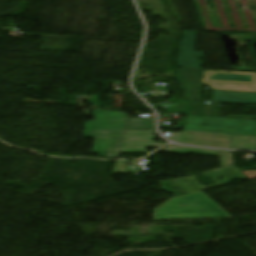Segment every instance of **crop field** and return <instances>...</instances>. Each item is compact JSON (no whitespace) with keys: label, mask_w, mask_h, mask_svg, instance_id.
I'll return each instance as SVG.
<instances>
[{"label":"crop field","mask_w":256,"mask_h":256,"mask_svg":"<svg viewBox=\"0 0 256 256\" xmlns=\"http://www.w3.org/2000/svg\"><path fill=\"white\" fill-rule=\"evenodd\" d=\"M96 121L86 123L85 138L95 137L93 153L119 158L125 129H154V118H128L124 112L93 110Z\"/></svg>","instance_id":"obj_1"},{"label":"crop field","mask_w":256,"mask_h":256,"mask_svg":"<svg viewBox=\"0 0 256 256\" xmlns=\"http://www.w3.org/2000/svg\"><path fill=\"white\" fill-rule=\"evenodd\" d=\"M155 220L232 218L202 191L171 199L155 209Z\"/></svg>","instance_id":"obj_2"},{"label":"crop field","mask_w":256,"mask_h":256,"mask_svg":"<svg viewBox=\"0 0 256 256\" xmlns=\"http://www.w3.org/2000/svg\"><path fill=\"white\" fill-rule=\"evenodd\" d=\"M188 116L183 130L256 136V120ZM209 124L211 127L204 126ZM246 125V126H244Z\"/></svg>","instance_id":"obj_3"},{"label":"crop field","mask_w":256,"mask_h":256,"mask_svg":"<svg viewBox=\"0 0 256 256\" xmlns=\"http://www.w3.org/2000/svg\"><path fill=\"white\" fill-rule=\"evenodd\" d=\"M202 83L213 89L256 92V73L205 71Z\"/></svg>","instance_id":"obj_4"},{"label":"crop field","mask_w":256,"mask_h":256,"mask_svg":"<svg viewBox=\"0 0 256 256\" xmlns=\"http://www.w3.org/2000/svg\"><path fill=\"white\" fill-rule=\"evenodd\" d=\"M171 140L180 144L231 149L233 135L182 131L181 134L172 133Z\"/></svg>","instance_id":"obj_5"},{"label":"crop field","mask_w":256,"mask_h":256,"mask_svg":"<svg viewBox=\"0 0 256 256\" xmlns=\"http://www.w3.org/2000/svg\"><path fill=\"white\" fill-rule=\"evenodd\" d=\"M154 130H126L121 153H146V147L164 146L154 143Z\"/></svg>","instance_id":"obj_6"},{"label":"crop field","mask_w":256,"mask_h":256,"mask_svg":"<svg viewBox=\"0 0 256 256\" xmlns=\"http://www.w3.org/2000/svg\"><path fill=\"white\" fill-rule=\"evenodd\" d=\"M183 34H185V38L181 43L177 66L202 69L203 64L196 62V57H204L205 52H194L198 32L183 31Z\"/></svg>","instance_id":"obj_7"},{"label":"crop field","mask_w":256,"mask_h":256,"mask_svg":"<svg viewBox=\"0 0 256 256\" xmlns=\"http://www.w3.org/2000/svg\"><path fill=\"white\" fill-rule=\"evenodd\" d=\"M163 152L176 153V154H189V153H199V154H213L220 155L221 168L233 165L232 155L229 151H215L199 148H188V147H178L171 145L166 148Z\"/></svg>","instance_id":"obj_8"},{"label":"crop field","mask_w":256,"mask_h":256,"mask_svg":"<svg viewBox=\"0 0 256 256\" xmlns=\"http://www.w3.org/2000/svg\"><path fill=\"white\" fill-rule=\"evenodd\" d=\"M214 100L256 104V94L214 91Z\"/></svg>","instance_id":"obj_9"},{"label":"crop field","mask_w":256,"mask_h":256,"mask_svg":"<svg viewBox=\"0 0 256 256\" xmlns=\"http://www.w3.org/2000/svg\"><path fill=\"white\" fill-rule=\"evenodd\" d=\"M232 149L256 150V137L234 135Z\"/></svg>","instance_id":"obj_10"}]
</instances>
